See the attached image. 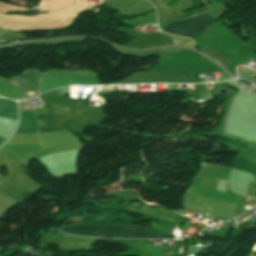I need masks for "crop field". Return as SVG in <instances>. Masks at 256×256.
Listing matches in <instances>:
<instances>
[{
  "label": "crop field",
  "instance_id": "2",
  "mask_svg": "<svg viewBox=\"0 0 256 256\" xmlns=\"http://www.w3.org/2000/svg\"><path fill=\"white\" fill-rule=\"evenodd\" d=\"M213 22H215L213 18L206 14H202L183 21L171 22L163 29V31L194 39Z\"/></svg>",
  "mask_w": 256,
  "mask_h": 256
},
{
  "label": "crop field",
  "instance_id": "1",
  "mask_svg": "<svg viewBox=\"0 0 256 256\" xmlns=\"http://www.w3.org/2000/svg\"><path fill=\"white\" fill-rule=\"evenodd\" d=\"M62 232L90 237H120V238H164L175 239V235L156 234L149 229L137 226L110 225L85 226L77 225Z\"/></svg>",
  "mask_w": 256,
  "mask_h": 256
},
{
  "label": "crop field",
  "instance_id": "6",
  "mask_svg": "<svg viewBox=\"0 0 256 256\" xmlns=\"http://www.w3.org/2000/svg\"><path fill=\"white\" fill-rule=\"evenodd\" d=\"M192 87V85H191ZM194 90H192L194 94L195 100H207L209 99L208 93L206 91V84H196L193 85ZM192 87V89H193Z\"/></svg>",
  "mask_w": 256,
  "mask_h": 256
},
{
  "label": "crop field",
  "instance_id": "4",
  "mask_svg": "<svg viewBox=\"0 0 256 256\" xmlns=\"http://www.w3.org/2000/svg\"><path fill=\"white\" fill-rule=\"evenodd\" d=\"M39 77H40V75L37 72L30 71V72H27V73H25L24 75H22L18 78L11 79V80H8V81L10 83H12L13 85H15L16 87H18L19 89H21L22 91L26 92V91H29L28 90L29 86L38 83ZM26 94H28L29 96L35 95L31 91L26 92Z\"/></svg>",
  "mask_w": 256,
  "mask_h": 256
},
{
  "label": "crop field",
  "instance_id": "3",
  "mask_svg": "<svg viewBox=\"0 0 256 256\" xmlns=\"http://www.w3.org/2000/svg\"><path fill=\"white\" fill-rule=\"evenodd\" d=\"M194 75L190 72L159 71L137 73L128 79L116 84L146 83V82H175V83H197Z\"/></svg>",
  "mask_w": 256,
  "mask_h": 256
},
{
  "label": "crop field",
  "instance_id": "5",
  "mask_svg": "<svg viewBox=\"0 0 256 256\" xmlns=\"http://www.w3.org/2000/svg\"><path fill=\"white\" fill-rule=\"evenodd\" d=\"M199 51H201V52L205 53L206 55H208L209 57L215 59L216 61H218L223 66L233 62L227 56H225L223 53H221L220 51H218L217 49L213 48L210 45L202 48Z\"/></svg>",
  "mask_w": 256,
  "mask_h": 256
},
{
  "label": "crop field",
  "instance_id": "7",
  "mask_svg": "<svg viewBox=\"0 0 256 256\" xmlns=\"http://www.w3.org/2000/svg\"><path fill=\"white\" fill-rule=\"evenodd\" d=\"M93 7H95V6L91 5L89 9H92Z\"/></svg>",
  "mask_w": 256,
  "mask_h": 256
}]
</instances>
